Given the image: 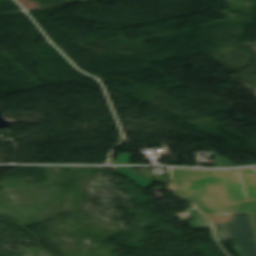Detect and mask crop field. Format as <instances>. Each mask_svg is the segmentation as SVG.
Instances as JSON below:
<instances>
[{
    "label": "crop field",
    "instance_id": "1",
    "mask_svg": "<svg viewBox=\"0 0 256 256\" xmlns=\"http://www.w3.org/2000/svg\"><path fill=\"white\" fill-rule=\"evenodd\" d=\"M248 200L256 199V171L240 170ZM179 195L223 193L225 204L246 200L238 171L172 170Z\"/></svg>",
    "mask_w": 256,
    "mask_h": 256
},
{
    "label": "crop field",
    "instance_id": "2",
    "mask_svg": "<svg viewBox=\"0 0 256 256\" xmlns=\"http://www.w3.org/2000/svg\"><path fill=\"white\" fill-rule=\"evenodd\" d=\"M207 217L214 222V232L218 240H256L248 212Z\"/></svg>",
    "mask_w": 256,
    "mask_h": 256
},
{
    "label": "crop field",
    "instance_id": "3",
    "mask_svg": "<svg viewBox=\"0 0 256 256\" xmlns=\"http://www.w3.org/2000/svg\"><path fill=\"white\" fill-rule=\"evenodd\" d=\"M205 215L231 214L249 211L256 235V200L224 206L222 202L196 205Z\"/></svg>",
    "mask_w": 256,
    "mask_h": 256
},
{
    "label": "crop field",
    "instance_id": "4",
    "mask_svg": "<svg viewBox=\"0 0 256 256\" xmlns=\"http://www.w3.org/2000/svg\"><path fill=\"white\" fill-rule=\"evenodd\" d=\"M113 171L129 178L134 183H136L137 185H139L143 188L149 187L151 185V183L155 181V180H152L150 177L143 175V174L139 173L138 171L131 169V168L114 169Z\"/></svg>",
    "mask_w": 256,
    "mask_h": 256
},
{
    "label": "crop field",
    "instance_id": "5",
    "mask_svg": "<svg viewBox=\"0 0 256 256\" xmlns=\"http://www.w3.org/2000/svg\"><path fill=\"white\" fill-rule=\"evenodd\" d=\"M241 256H256V241L232 243Z\"/></svg>",
    "mask_w": 256,
    "mask_h": 256
},
{
    "label": "crop field",
    "instance_id": "6",
    "mask_svg": "<svg viewBox=\"0 0 256 256\" xmlns=\"http://www.w3.org/2000/svg\"><path fill=\"white\" fill-rule=\"evenodd\" d=\"M193 204L222 201L221 195H200L182 197Z\"/></svg>",
    "mask_w": 256,
    "mask_h": 256
},
{
    "label": "crop field",
    "instance_id": "7",
    "mask_svg": "<svg viewBox=\"0 0 256 256\" xmlns=\"http://www.w3.org/2000/svg\"><path fill=\"white\" fill-rule=\"evenodd\" d=\"M131 155L127 154H120L117 161H111L110 163H129Z\"/></svg>",
    "mask_w": 256,
    "mask_h": 256
}]
</instances>
